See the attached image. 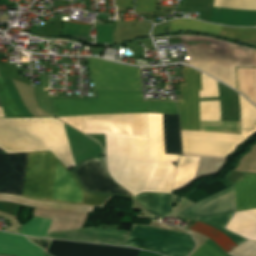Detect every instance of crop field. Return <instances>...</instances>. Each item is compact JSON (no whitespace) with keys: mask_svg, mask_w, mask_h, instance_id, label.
<instances>
[{"mask_svg":"<svg viewBox=\"0 0 256 256\" xmlns=\"http://www.w3.org/2000/svg\"><path fill=\"white\" fill-rule=\"evenodd\" d=\"M147 139L106 135L108 172L135 197L144 191L171 193L177 155L164 154L162 115L146 114ZM197 157L181 156L173 190L190 181Z\"/></svg>","mask_w":256,"mask_h":256,"instance_id":"crop-field-1","label":"crop field"},{"mask_svg":"<svg viewBox=\"0 0 256 256\" xmlns=\"http://www.w3.org/2000/svg\"><path fill=\"white\" fill-rule=\"evenodd\" d=\"M56 117L170 113L175 102L143 101L142 93L99 90V99L53 100ZM85 134H114L146 138L145 114L59 118ZM70 125V126H71Z\"/></svg>","mask_w":256,"mask_h":256,"instance_id":"crop-field-2","label":"crop field"},{"mask_svg":"<svg viewBox=\"0 0 256 256\" xmlns=\"http://www.w3.org/2000/svg\"><path fill=\"white\" fill-rule=\"evenodd\" d=\"M29 153L0 154V193L21 194ZM68 169L51 151L30 153L21 196L61 202ZM112 197L85 193L70 171L62 202L101 207Z\"/></svg>","mask_w":256,"mask_h":256,"instance_id":"crop-field-3","label":"crop field"},{"mask_svg":"<svg viewBox=\"0 0 256 256\" xmlns=\"http://www.w3.org/2000/svg\"><path fill=\"white\" fill-rule=\"evenodd\" d=\"M0 117H5L2 108ZM0 148L7 153L51 150L68 169L75 166L63 124L55 118L0 119Z\"/></svg>","mask_w":256,"mask_h":256,"instance_id":"crop-field-4","label":"crop field"},{"mask_svg":"<svg viewBox=\"0 0 256 256\" xmlns=\"http://www.w3.org/2000/svg\"><path fill=\"white\" fill-rule=\"evenodd\" d=\"M241 106L240 136L182 130L184 155L226 157L238 144L256 132V108L239 95Z\"/></svg>","mask_w":256,"mask_h":256,"instance_id":"crop-field-5","label":"crop field"},{"mask_svg":"<svg viewBox=\"0 0 256 256\" xmlns=\"http://www.w3.org/2000/svg\"><path fill=\"white\" fill-rule=\"evenodd\" d=\"M194 245L188 234L134 225L126 246L157 251L166 256H187Z\"/></svg>","mask_w":256,"mask_h":256,"instance_id":"crop-field-6","label":"crop field"},{"mask_svg":"<svg viewBox=\"0 0 256 256\" xmlns=\"http://www.w3.org/2000/svg\"><path fill=\"white\" fill-rule=\"evenodd\" d=\"M95 89L143 92L140 68L88 58Z\"/></svg>","mask_w":256,"mask_h":256,"instance_id":"crop-field-7","label":"crop field"},{"mask_svg":"<svg viewBox=\"0 0 256 256\" xmlns=\"http://www.w3.org/2000/svg\"><path fill=\"white\" fill-rule=\"evenodd\" d=\"M187 83L179 84L183 100L177 101L181 127L187 130H199V90H202L200 71L187 66L182 68Z\"/></svg>","mask_w":256,"mask_h":256,"instance_id":"crop-field-8","label":"crop field"},{"mask_svg":"<svg viewBox=\"0 0 256 256\" xmlns=\"http://www.w3.org/2000/svg\"><path fill=\"white\" fill-rule=\"evenodd\" d=\"M54 256H137L134 249L53 240L48 251Z\"/></svg>","mask_w":256,"mask_h":256,"instance_id":"crop-field-9","label":"crop field"},{"mask_svg":"<svg viewBox=\"0 0 256 256\" xmlns=\"http://www.w3.org/2000/svg\"><path fill=\"white\" fill-rule=\"evenodd\" d=\"M76 172L87 190L131 196L112 181L102 160L94 159L84 162Z\"/></svg>","mask_w":256,"mask_h":256,"instance_id":"crop-field-10","label":"crop field"},{"mask_svg":"<svg viewBox=\"0 0 256 256\" xmlns=\"http://www.w3.org/2000/svg\"><path fill=\"white\" fill-rule=\"evenodd\" d=\"M235 211L234 186L193 204L180 214L193 219Z\"/></svg>","mask_w":256,"mask_h":256,"instance_id":"crop-field-11","label":"crop field"},{"mask_svg":"<svg viewBox=\"0 0 256 256\" xmlns=\"http://www.w3.org/2000/svg\"><path fill=\"white\" fill-rule=\"evenodd\" d=\"M45 251L28 242L24 236L0 232V254L15 256H44Z\"/></svg>","mask_w":256,"mask_h":256,"instance_id":"crop-field-12","label":"crop field"},{"mask_svg":"<svg viewBox=\"0 0 256 256\" xmlns=\"http://www.w3.org/2000/svg\"><path fill=\"white\" fill-rule=\"evenodd\" d=\"M7 85H8V88L18 106V108L24 113L25 117H32L31 114L28 112V110L25 108V106L23 105L18 93H17V90L12 82L11 79H5ZM0 84L3 88V91L11 105V107L13 108V110L16 112V114L18 115V117H24L23 113L17 108L5 82L3 79H0ZM1 87H0V100H1V103H2V106H3V109H4V112H5V116L6 117H17V115L15 114V112L12 110V108L10 107L4 93H3Z\"/></svg>","mask_w":256,"mask_h":256,"instance_id":"crop-field-13","label":"crop field"},{"mask_svg":"<svg viewBox=\"0 0 256 256\" xmlns=\"http://www.w3.org/2000/svg\"><path fill=\"white\" fill-rule=\"evenodd\" d=\"M226 229L256 241V210L235 213Z\"/></svg>","mask_w":256,"mask_h":256,"instance_id":"crop-field-14","label":"crop field"},{"mask_svg":"<svg viewBox=\"0 0 256 256\" xmlns=\"http://www.w3.org/2000/svg\"><path fill=\"white\" fill-rule=\"evenodd\" d=\"M148 211L162 217L171 212L172 194L144 192L135 197Z\"/></svg>","mask_w":256,"mask_h":256,"instance_id":"crop-field-15","label":"crop field"},{"mask_svg":"<svg viewBox=\"0 0 256 256\" xmlns=\"http://www.w3.org/2000/svg\"><path fill=\"white\" fill-rule=\"evenodd\" d=\"M236 211L256 208V175H249L235 186Z\"/></svg>","mask_w":256,"mask_h":256,"instance_id":"crop-field-16","label":"crop field"},{"mask_svg":"<svg viewBox=\"0 0 256 256\" xmlns=\"http://www.w3.org/2000/svg\"><path fill=\"white\" fill-rule=\"evenodd\" d=\"M0 202L32 205V206H39V207L67 210V211H76V212H93L94 210V208H91V207L31 200V199L21 198L18 196H12V195H0Z\"/></svg>","mask_w":256,"mask_h":256,"instance_id":"crop-field-17","label":"crop field"},{"mask_svg":"<svg viewBox=\"0 0 256 256\" xmlns=\"http://www.w3.org/2000/svg\"><path fill=\"white\" fill-rule=\"evenodd\" d=\"M165 153L181 154L178 116H163Z\"/></svg>","mask_w":256,"mask_h":256,"instance_id":"crop-field-18","label":"crop field"},{"mask_svg":"<svg viewBox=\"0 0 256 256\" xmlns=\"http://www.w3.org/2000/svg\"><path fill=\"white\" fill-rule=\"evenodd\" d=\"M237 90L256 104V69L236 68Z\"/></svg>","mask_w":256,"mask_h":256,"instance_id":"crop-field-19","label":"crop field"},{"mask_svg":"<svg viewBox=\"0 0 256 256\" xmlns=\"http://www.w3.org/2000/svg\"><path fill=\"white\" fill-rule=\"evenodd\" d=\"M170 24H171L172 31L182 30V29H192V30H201V31H207V32L219 34L222 28L221 26L209 25L193 19H179V20L171 21Z\"/></svg>","mask_w":256,"mask_h":256,"instance_id":"crop-field-20","label":"crop field"},{"mask_svg":"<svg viewBox=\"0 0 256 256\" xmlns=\"http://www.w3.org/2000/svg\"><path fill=\"white\" fill-rule=\"evenodd\" d=\"M201 121L221 122L220 101L200 102Z\"/></svg>","mask_w":256,"mask_h":256,"instance_id":"crop-field-21","label":"crop field"},{"mask_svg":"<svg viewBox=\"0 0 256 256\" xmlns=\"http://www.w3.org/2000/svg\"><path fill=\"white\" fill-rule=\"evenodd\" d=\"M233 214L234 213L220 215V216L206 217L200 221L223 231L224 233H226L228 236H230L232 239H234L236 242H238L240 244V243L246 241V239L224 229L225 225L230 220V218L233 216Z\"/></svg>","mask_w":256,"mask_h":256,"instance_id":"crop-field-22","label":"crop field"},{"mask_svg":"<svg viewBox=\"0 0 256 256\" xmlns=\"http://www.w3.org/2000/svg\"><path fill=\"white\" fill-rule=\"evenodd\" d=\"M52 220L34 217L32 221L23 226L20 234L44 237Z\"/></svg>","mask_w":256,"mask_h":256,"instance_id":"crop-field-23","label":"crop field"},{"mask_svg":"<svg viewBox=\"0 0 256 256\" xmlns=\"http://www.w3.org/2000/svg\"><path fill=\"white\" fill-rule=\"evenodd\" d=\"M200 130L210 132H222V133H233L239 134V123L221 122V123H210L200 122Z\"/></svg>","mask_w":256,"mask_h":256,"instance_id":"crop-field-24","label":"crop field"},{"mask_svg":"<svg viewBox=\"0 0 256 256\" xmlns=\"http://www.w3.org/2000/svg\"><path fill=\"white\" fill-rule=\"evenodd\" d=\"M223 36H227L235 39H254L256 40V29H238L223 27L221 33Z\"/></svg>","mask_w":256,"mask_h":256,"instance_id":"crop-field-25","label":"crop field"},{"mask_svg":"<svg viewBox=\"0 0 256 256\" xmlns=\"http://www.w3.org/2000/svg\"><path fill=\"white\" fill-rule=\"evenodd\" d=\"M203 91H200V97H219L217 81L202 74Z\"/></svg>","mask_w":256,"mask_h":256,"instance_id":"crop-field-26","label":"crop field"},{"mask_svg":"<svg viewBox=\"0 0 256 256\" xmlns=\"http://www.w3.org/2000/svg\"><path fill=\"white\" fill-rule=\"evenodd\" d=\"M228 254L232 256H256V242L248 240Z\"/></svg>","mask_w":256,"mask_h":256,"instance_id":"crop-field-27","label":"crop field"},{"mask_svg":"<svg viewBox=\"0 0 256 256\" xmlns=\"http://www.w3.org/2000/svg\"><path fill=\"white\" fill-rule=\"evenodd\" d=\"M192 256H222L207 244H203Z\"/></svg>","mask_w":256,"mask_h":256,"instance_id":"crop-field-28","label":"crop field"},{"mask_svg":"<svg viewBox=\"0 0 256 256\" xmlns=\"http://www.w3.org/2000/svg\"><path fill=\"white\" fill-rule=\"evenodd\" d=\"M156 0H137L136 11H155Z\"/></svg>","mask_w":256,"mask_h":256,"instance_id":"crop-field-29","label":"crop field"},{"mask_svg":"<svg viewBox=\"0 0 256 256\" xmlns=\"http://www.w3.org/2000/svg\"><path fill=\"white\" fill-rule=\"evenodd\" d=\"M133 0H115L116 8L132 6Z\"/></svg>","mask_w":256,"mask_h":256,"instance_id":"crop-field-30","label":"crop field"},{"mask_svg":"<svg viewBox=\"0 0 256 256\" xmlns=\"http://www.w3.org/2000/svg\"><path fill=\"white\" fill-rule=\"evenodd\" d=\"M253 68H256V51L255 50L253 54Z\"/></svg>","mask_w":256,"mask_h":256,"instance_id":"crop-field-31","label":"crop field"},{"mask_svg":"<svg viewBox=\"0 0 256 256\" xmlns=\"http://www.w3.org/2000/svg\"><path fill=\"white\" fill-rule=\"evenodd\" d=\"M0 107H2V106H1V103H0Z\"/></svg>","mask_w":256,"mask_h":256,"instance_id":"crop-field-32","label":"crop field"}]
</instances>
